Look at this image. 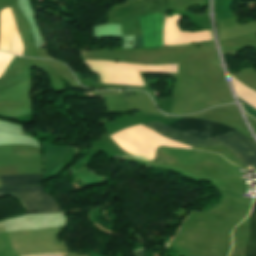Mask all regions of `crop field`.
I'll return each instance as SVG.
<instances>
[{"mask_svg": "<svg viewBox=\"0 0 256 256\" xmlns=\"http://www.w3.org/2000/svg\"><path fill=\"white\" fill-rule=\"evenodd\" d=\"M142 125L171 140L191 147L225 146L236 155L245 167L249 170H256V148L238 131L218 138L205 140L168 128L158 122Z\"/></svg>", "mask_w": 256, "mask_h": 256, "instance_id": "obj_1", "label": "crop field"}, {"mask_svg": "<svg viewBox=\"0 0 256 256\" xmlns=\"http://www.w3.org/2000/svg\"><path fill=\"white\" fill-rule=\"evenodd\" d=\"M0 195L16 196L21 200L23 206L28 212H62L56 202L43 190L42 186L0 188Z\"/></svg>", "mask_w": 256, "mask_h": 256, "instance_id": "obj_2", "label": "crop field"}, {"mask_svg": "<svg viewBox=\"0 0 256 256\" xmlns=\"http://www.w3.org/2000/svg\"><path fill=\"white\" fill-rule=\"evenodd\" d=\"M170 126L205 139L218 137L236 131V129L222 123L194 118H184Z\"/></svg>", "mask_w": 256, "mask_h": 256, "instance_id": "obj_3", "label": "crop field"}, {"mask_svg": "<svg viewBox=\"0 0 256 256\" xmlns=\"http://www.w3.org/2000/svg\"><path fill=\"white\" fill-rule=\"evenodd\" d=\"M163 15L157 13L140 18L142 35L134 36V48L162 47Z\"/></svg>", "mask_w": 256, "mask_h": 256, "instance_id": "obj_4", "label": "crop field"}, {"mask_svg": "<svg viewBox=\"0 0 256 256\" xmlns=\"http://www.w3.org/2000/svg\"><path fill=\"white\" fill-rule=\"evenodd\" d=\"M3 187L42 184V174L0 176Z\"/></svg>", "mask_w": 256, "mask_h": 256, "instance_id": "obj_5", "label": "crop field"}, {"mask_svg": "<svg viewBox=\"0 0 256 256\" xmlns=\"http://www.w3.org/2000/svg\"><path fill=\"white\" fill-rule=\"evenodd\" d=\"M246 256H256V202H254L250 215V232Z\"/></svg>", "mask_w": 256, "mask_h": 256, "instance_id": "obj_6", "label": "crop field"}, {"mask_svg": "<svg viewBox=\"0 0 256 256\" xmlns=\"http://www.w3.org/2000/svg\"><path fill=\"white\" fill-rule=\"evenodd\" d=\"M210 32V31H209ZM210 36H211V39H212V35H211V32H210ZM213 40V39H212ZM186 45V44H184ZM170 46H177V45H170ZM164 47H168V46H164Z\"/></svg>", "mask_w": 256, "mask_h": 256, "instance_id": "obj_7", "label": "crop field"}, {"mask_svg": "<svg viewBox=\"0 0 256 256\" xmlns=\"http://www.w3.org/2000/svg\"><path fill=\"white\" fill-rule=\"evenodd\" d=\"M5 51L9 52V47H8V44H7V47H6V50H5Z\"/></svg>", "mask_w": 256, "mask_h": 256, "instance_id": "obj_8", "label": "crop field"}, {"mask_svg": "<svg viewBox=\"0 0 256 256\" xmlns=\"http://www.w3.org/2000/svg\"><path fill=\"white\" fill-rule=\"evenodd\" d=\"M90 254H91V253H90ZM91 256H99V255L91 254Z\"/></svg>", "mask_w": 256, "mask_h": 256, "instance_id": "obj_9", "label": "crop field"}]
</instances>
